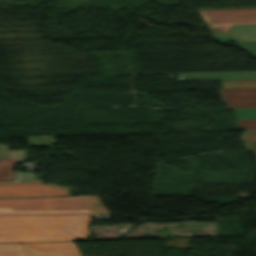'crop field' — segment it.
<instances>
[{"label": "crop field", "instance_id": "obj_1", "mask_svg": "<svg viewBox=\"0 0 256 256\" xmlns=\"http://www.w3.org/2000/svg\"><path fill=\"white\" fill-rule=\"evenodd\" d=\"M89 217L0 218V242L85 240Z\"/></svg>", "mask_w": 256, "mask_h": 256}, {"label": "crop field", "instance_id": "obj_2", "mask_svg": "<svg viewBox=\"0 0 256 256\" xmlns=\"http://www.w3.org/2000/svg\"><path fill=\"white\" fill-rule=\"evenodd\" d=\"M86 206H101L95 196L0 199V213L86 211Z\"/></svg>", "mask_w": 256, "mask_h": 256}, {"label": "crop field", "instance_id": "obj_3", "mask_svg": "<svg viewBox=\"0 0 256 256\" xmlns=\"http://www.w3.org/2000/svg\"><path fill=\"white\" fill-rule=\"evenodd\" d=\"M197 11L208 26L224 34L233 24H256V8Z\"/></svg>", "mask_w": 256, "mask_h": 256}, {"label": "crop field", "instance_id": "obj_4", "mask_svg": "<svg viewBox=\"0 0 256 256\" xmlns=\"http://www.w3.org/2000/svg\"><path fill=\"white\" fill-rule=\"evenodd\" d=\"M70 195L68 187L43 185L42 180L0 183V197Z\"/></svg>", "mask_w": 256, "mask_h": 256}, {"label": "crop field", "instance_id": "obj_5", "mask_svg": "<svg viewBox=\"0 0 256 256\" xmlns=\"http://www.w3.org/2000/svg\"><path fill=\"white\" fill-rule=\"evenodd\" d=\"M23 256H80L73 242L23 244Z\"/></svg>", "mask_w": 256, "mask_h": 256}, {"label": "crop field", "instance_id": "obj_6", "mask_svg": "<svg viewBox=\"0 0 256 256\" xmlns=\"http://www.w3.org/2000/svg\"><path fill=\"white\" fill-rule=\"evenodd\" d=\"M228 109L256 108V89L219 90Z\"/></svg>", "mask_w": 256, "mask_h": 256}, {"label": "crop field", "instance_id": "obj_7", "mask_svg": "<svg viewBox=\"0 0 256 256\" xmlns=\"http://www.w3.org/2000/svg\"><path fill=\"white\" fill-rule=\"evenodd\" d=\"M22 161H27L24 150L8 151L7 159H0V182L14 181L13 167Z\"/></svg>", "mask_w": 256, "mask_h": 256}, {"label": "crop field", "instance_id": "obj_8", "mask_svg": "<svg viewBox=\"0 0 256 256\" xmlns=\"http://www.w3.org/2000/svg\"><path fill=\"white\" fill-rule=\"evenodd\" d=\"M218 38L222 42L256 40V25H233L226 35Z\"/></svg>", "mask_w": 256, "mask_h": 256}, {"label": "crop field", "instance_id": "obj_9", "mask_svg": "<svg viewBox=\"0 0 256 256\" xmlns=\"http://www.w3.org/2000/svg\"><path fill=\"white\" fill-rule=\"evenodd\" d=\"M107 211V210H106ZM103 207H87V212L68 213H32V214H0V217L9 216H63V215H99L108 214Z\"/></svg>", "mask_w": 256, "mask_h": 256}, {"label": "crop field", "instance_id": "obj_10", "mask_svg": "<svg viewBox=\"0 0 256 256\" xmlns=\"http://www.w3.org/2000/svg\"><path fill=\"white\" fill-rule=\"evenodd\" d=\"M224 89L256 88V80L222 81Z\"/></svg>", "mask_w": 256, "mask_h": 256}, {"label": "crop field", "instance_id": "obj_11", "mask_svg": "<svg viewBox=\"0 0 256 256\" xmlns=\"http://www.w3.org/2000/svg\"><path fill=\"white\" fill-rule=\"evenodd\" d=\"M0 256H22L21 244H0Z\"/></svg>", "mask_w": 256, "mask_h": 256}, {"label": "crop field", "instance_id": "obj_12", "mask_svg": "<svg viewBox=\"0 0 256 256\" xmlns=\"http://www.w3.org/2000/svg\"><path fill=\"white\" fill-rule=\"evenodd\" d=\"M28 142L32 146H52L55 140L53 137H40V138H27Z\"/></svg>", "mask_w": 256, "mask_h": 256}, {"label": "crop field", "instance_id": "obj_13", "mask_svg": "<svg viewBox=\"0 0 256 256\" xmlns=\"http://www.w3.org/2000/svg\"><path fill=\"white\" fill-rule=\"evenodd\" d=\"M236 119L256 118V109L234 110Z\"/></svg>", "mask_w": 256, "mask_h": 256}, {"label": "crop field", "instance_id": "obj_14", "mask_svg": "<svg viewBox=\"0 0 256 256\" xmlns=\"http://www.w3.org/2000/svg\"><path fill=\"white\" fill-rule=\"evenodd\" d=\"M238 129H256V119L235 120Z\"/></svg>", "mask_w": 256, "mask_h": 256}, {"label": "crop field", "instance_id": "obj_15", "mask_svg": "<svg viewBox=\"0 0 256 256\" xmlns=\"http://www.w3.org/2000/svg\"><path fill=\"white\" fill-rule=\"evenodd\" d=\"M242 139L244 143H256V130H244Z\"/></svg>", "mask_w": 256, "mask_h": 256}, {"label": "crop field", "instance_id": "obj_16", "mask_svg": "<svg viewBox=\"0 0 256 256\" xmlns=\"http://www.w3.org/2000/svg\"><path fill=\"white\" fill-rule=\"evenodd\" d=\"M240 44V47H243L250 51L252 54L256 56V41L254 42H236Z\"/></svg>", "mask_w": 256, "mask_h": 256}, {"label": "crop field", "instance_id": "obj_17", "mask_svg": "<svg viewBox=\"0 0 256 256\" xmlns=\"http://www.w3.org/2000/svg\"><path fill=\"white\" fill-rule=\"evenodd\" d=\"M7 146L0 144V158H6Z\"/></svg>", "mask_w": 256, "mask_h": 256}, {"label": "crop field", "instance_id": "obj_18", "mask_svg": "<svg viewBox=\"0 0 256 256\" xmlns=\"http://www.w3.org/2000/svg\"><path fill=\"white\" fill-rule=\"evenodd\" d=\"M245 150L256 149V144H244Z\"/></svg>", "mask_w": 256, "mask_h": 256}]
</instances>
